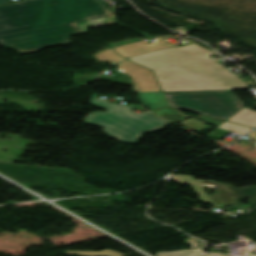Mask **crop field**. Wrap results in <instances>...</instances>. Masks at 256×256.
Returning <instances> with one entry per match:
<instances>
[{
    "label": "crop field",
    "instance_id": "14",
    "mask_svg": "<svg viewBox=\"0 0 256 256\" xmlns=\"http://www.w3.org/2000/svg\"><path fill=\"white\" fill-rule=\"evenodd\" d=\"M201 251L196 250H183V251H175V252H162L157 253L156 256H199Z\"/></svg>",
    "mask_w": 256,
    "mask_h": 256
},
{
    "label": "crop field",
    "instance_id": "1",
    "mask_svg": "<svg viewBox=\"0 0 256 256\" xmlns=\"http://www.w3.org/2000/svg\"><path fill=\"white\" fill-rule=\"evenodd\" d=\"M102 0H34L0 7V44L27 54L71 43L87 28L118 23Z\"/></svg>",
    "mask_w": 256,
    "mask_h": 256
},
{
    "label": "crop field",
    "instance_id": "22",
    "mask_svg": "<svg viewBox=\"0 0 256 256\" xmlns=\"http://www.w3.org/2000/svg\"><path fill=\"white\" fill-rule=\"evenodd\" d=\"M22 1H25V0H22Z\"/></svg>",
    "mask_w": 256,
    "mask_h": 256
},
{
    "label": "crop field",
    "instance_id": "5",
    "mask_svg": "<svg viewBox=\"0 0 256 256\" xmlns=\"http://www.w3.org/2000/svg\"><path fill=\"white\" fill-rule=\"evenodd\" d=\"M172 180L178 183H191L200 195L202 201L208 202L215 207H223L234 203L236 208L241 207L239 200L249 197L251 202L256 205V187L232 189L231 186L215 183L213 181H195L192 176L173 175ZM204 187H214L219 193L207 195Z\"/></svg>",
    "mask_w": 256,
    "mask_h": 256
},
{
    "label": "crop field",
    "instance_id": "13",
    "mask_svg": "<svg viewBox=\"0 0 256 256\" xmlns=\"http://www.w3.org/2000/svg\"><path fill=\"white\" fill-rule=\"evenodd\" d=\"M218 128L223 129V130H229V131H232V132H234L236 134H239V135H243L244 133L251 130V128L238 126V125H235V124H232V123H229V122H225L224 124H222Z\"/></svg>",
    "mask_w": 256,
    "mask_h": 256
},
{
    "label": "crop field",
    "instance_id": "16",
    "mask_svg": "<svg viewBox=\"0 0 256 256\" xmlns=\"http://www.w3.org/2000/svg\"><path fill=\"white\" fill-rule=\"evenodd\" d=\"M185 243L190 244L191 246H193L194 248H201L202 242L201 241H193L191 239L185 241Z\"/></svg>",
    "mask_w": 256,
    "mask_h": 256
},
{
    "label": "crop field",
    "instance_id": "17",
    "mask_svg": "<svg viewBox=\"0 0 256 256\" xmlns=\"http://www.w3.org/2000/svg\"><path fill=\"white\" fill-rule=\"evenodd\" d=\"M7 3H9L8 0H0V5H1V4H7Z\"/></svg>",
    "mask_w": 256,
    "mask_h": 256
},
{
    "label": "crop field",
    "instance_id": "10",
    "mask_svg": "<svg viewBox=\"0 0 256 256\" xmlns=\"http://www.w3.org/2000/svg\"><path fill=\"white\" fill-rule=\"evenodd\" d=\"M153 113L175 123L183 118L188 117L187 115L183 114L180 110H175L172 108H165L161 110L154 111Z\"/></svg>",
    "mask_w": 256,
    "mask_h": 256
},
{
    "label": "crop field",
    "instance_id": "18",
    "mask_svg": "<svg viewBox=\"0 0 256 256\" xmlns=\"http://www.w3.org/2000/svg\"><path fill=\"white\" fill-rule=\"evenodd\" d=\"M202 256H223V255H208V254H205V255H202ZM250 256H256L255 254H251Z\"/></svg>",
    "mask_w": 256,
    "mask_h": 256
},
{
    "label": "crop field",
    "instance_id": "11",
    "mask_svg": "<svg viewBox=\"0 0 256 256\" xmlns=\"http://www.w3.org/2000/svg\"><path fill=\"white\" fill-rule=\"evenodd\" d=\"M117 54L111 48H109V49L99 52L93 56L96 59H98L99 61L109 60L110 62H112L114 64V63L118 62L119 60L123 59L122 57H120Z\"/></svg>",
    "mask_w": 256,
    "mask_h": 256
},
{
    "label": "crop field",
    "instance_id": "20",
    "mask_svg": "<svg viewBox=\"0 0 256 256\" xmlns=\"http://www.w3.org/2000/svg\"><path fill=\"white\" fill-rule=\"evenodd\" d=\"M203 248H204V243L202 245V249H197V250H203ZM191 249H194V248L192 247Z\"/></svg>",
    "mask_w": 256,
    "mask_h": 256
},
{
    "label": "crop field",
    "instance_id": "2",
    "mask_svg": "<svg viewBox=\"0 0 256 256\" xmlns=\"http://www.w3.org/2000/svg\"><path fill=\"white\" fill-rule=\"evenodd\" d=\"M214 51V50H213ZM195 43L131 60L155 71L163 91L248 88L247 83L209 56L217 53Z\"/></svg>",
    "mask_w": 256,
    "mask_h": 256
},
{
    "label": "crop field",
    "instance_id": "9",
    "mask_svg": "<svg viewBox=\"0 0 256 256\" xmlns=\"http://www.w3.org/2000/svg\"><path fill=\"white\" fill-rule=\"evenodd\" d=\"M228 121L251 126L253 128L256 127V112L244 107L239 112H237L232 118Z\"/></svg>",
    "mask_w": 256,
    "mask_h": 256
},
{
    "label": "crop field",
    "instance_id": "7",
    "mask_svg": "<svg viewBox=\"0 0 256 256\" xmlns=\"http://www.w3.org/2000/svg\"><path fill=\"white\" fill-rule=\"evenodd\" d=\"M174 46L172 43L166 41L164 38L156 39L152 44H146L142 41L132 43L129 45L121 46L114 48L117 52H119L124 57L130 55L141 54L157 49H162L166 47Z\"/></svg>",
    "mask_w": 256,
    "mask_h": 256
},
{
    "label": "crop field",
    "instance_id": "12",
    "mask_svg": "<svg viewBox=\"0 0 256 256\" xmlns=\"http://www.w3.org/2000/svg\"><path fill=\"white\" fill-rule=\"evenodd\" d=\"M66 254H78L80 256H128L114 251L106 250L102 252L93 251H66Z\"/></svg>",
    "mask_w": 256,
    "mask_h": 256
},
{
    "label": "crop field",
    "instance_id": "6",
    "mask_svg": "<svg viewBox=\"0 0 256 256\" xmlns=\"http://www.w3.org/2000/svg\"><path fill=\"white\" fill-rule=\"evenodd\" d=\"M118 70L130 75L134 81V92L160 91L150 70H146L127 60L118 64Z\"/></svg>",
    "mask_w": 256,
    "mask_h": 256
},
{
    "label": "crop field",
    "instance_id": "19",
    "mask_svg": "<svg viewBox=\"0 0 256 256\" xmlns=\"http://www.w3.org/2000/svg\"><path fill=\"white\" fill-rule=\"evenodd\" d=\"M249 136L253 137L256 139V131L252 132L251 134H249Z\"/></svg>",
    "mask_w": 256,
    "mask_h": 256
},
{
    "label": "crop field",
    "instance_id": "8",
    "mask_svg": "<svg viewBox=\"0 0 256 256\" xmlns=\"http://www.w3.org/2000/svg\"><path fill=\"white\" fill-rule=\"evenodd\" d=\"M144 106H148L151 111L168 105L162 92L138 93Z\"/></svg>",
    "mask_w": 256,
    "mask_h": 256
},
{
    "label": "crop field",
    "instance_id": "3",
    "mask_svg": "<svg viewBox=\"0 0 256 256\" xmlns=\"http://www.w3.org/2000/svg\"><path fill=\"white\" fill-rule=\"evenodd\" d=\"M91 105L107 110L89 114L84 122L104 127L106 134L125 143L134 144L146 132L160 130L168 124L148 112L138 114L130 111L138 107L117 105L93 96Z\"/></svg>",
    "mask_w": 256,
    "mask_h": 256
},
{
    "label": "crop field",
    "instance_id": "15",
    "mask_svg": "<svg viewBox=\"0 0 256 256\" xmlns=\"http://www.w3.org/2000/svg\"><path fill=\"white\" fill-rule=\"evenodd\" d=\"M197 117H199V118L205 120L206 122H208V123H210V124H212V125H214V126H216V127H218V126H220L222 123H224V121L216 120V119L209 118V117H205V116H201V115H199V116H197Z\"/></svg>",
    "mask_w": 256,
    "mask_h": 256
},
{
    "label": "crop field",
    "instance_id": "21",
    "mask_svg": "<svg viewBox=\"0 0 256 256\" xmlns=\"http://www.w3.org/2000/svg\"><path fill=\"white\" fill-rule=\"evenodd\" d=\"M192 239H194V240H197V239H195V238H193V237H191Z\"/></svg>",
    "mask_w": 256,
    "mask_h": 256
},
{
    "label": "crop field",
    "instance_id": "4",
    "mask_svg": "<svg viewBox=\"0 0 256 256\" xmlns=\"http://www.w3.org/2000/svg\"><path fill=\"white\" fill-rule=\"evenodd\" d=\"M164 93L171 107L224 120L245 106L231 91Z\"/></svg>",
    "mask_w": 256,
    "mask_h": 256
}]
</instances>
